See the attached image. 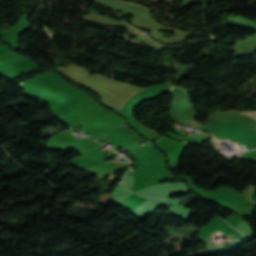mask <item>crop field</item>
<instances>
[{
	"label": "crop field",
	"instance_id": "crop-field-1",
	"mask_svg": "<svg viewBox=\"0 0 256 256\" xmlns=\"http://www.w3.org/2000/svg\"><path fill=\"white\" fill-rule=\"evenodd\" d=\"M242 114H247V115L256 119V111H254V112H243Z\"/></svg>",
	"mask_w": 256,
	"mask_h": 256
},
{
	"label": "crop field",
	"instance_id": "crop-field-2",
	"mask_svg": "<svg viewBox=\"0 0 256 256\" xmlns=\"http://www.w3.org/2000/svg\"><path fill=\"white\" fill-rule=\"evenodd\" d=\"M251 149H256V147H254V146H251L249 150H251Z\"/></svg>",
	"mask_w": 256,
	"mask_h": 256
}]
</instances>
